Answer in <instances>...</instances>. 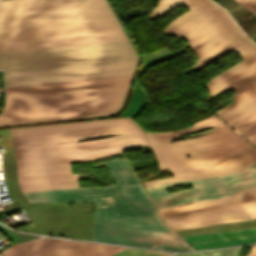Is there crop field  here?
I'll return each mask as SVG.
<instances>
[{
  "instance_id": "4177f3b9",
  "label": "crop field",
  "mask_w": 256,
  "mask_h": 256,
  "mask_svg": "<svg viewBox=\"0 0 256 256\" xmlns=\"http://www.w3.org/2000/svg\"><path fill=\"white\" fill-rule=\"evenodd\" d=\"M170 253L127 248L113 256H167Z\"/></svg>"
},
{
  "instance_id": "750c4746",
  "label": "crop field",
  "mask_w": 256,
  "mask_h": 256,
  "mask_svg": "<svg viewBox=\"0 0 256 256\" xmlns=\"http://www.w3.org/2000/svg\"><path fill=\"white\" fill-rule=\"evenodd\" d=\"M1 256V255H0Z\"/></svg>"
},
{
  "instance_id": "34b2d1b8",
  "label": "crop field",
  "mask_w": 256,
  "mask_h": 256,
  "mask_svg": "<svg viewBox=\"0 0 256 256\" xmlns=\"http://www.w3.org/2000/svg\"><path fill=\"white\" fill-rule=\"evenodd\" d=\"M219 125L222 129L197 138L167 143L174 137ZM228 127V126H227ZM215 115L193 126L171 132L146 133L160 171L212 164L253 148Z\"/></svg>"
},
{
  "instance_id": "cbeb9de0",
  "label": "crop field",
  "mask_w": 256,
  "mask_h": 256,
  "mask_svg": "<svg viewBox=\"0 0 256 256\" xmlns=\"http://www.w3.org/2000/svg\"><path fill=\"white\" fill-rule=\"evenodd\" d=\"M235 50H237L239 55L244 59L252 53L256 52V44L248 40L243 33L235 37L234 39L226 42L225 44L217 47L216 49L208 52L207 54L199 57L195 66L186 70V74L195 68L199 69L206 64L212 62L213 60Z\"/></svg>"
},
{
  "instance_id": "00972430",
  "label": "crop field",
  "mask_w": 256,
  "mask_h": 256,
  "mask_svg": "<svg viewBox=\"0 0 256 256\" xmlns=\"http://www.w3.org/2000/svg\"><path fill=\"white\" fill-rule=\"evenodd\" d=\"M242 246L240 247H236V248H230V249H222V250H213V251H205V252H195V253H183V254H176V255H172V256H224L227 253V256H230L232 251L233 255L232 256H238L240 249Z\"/></svg>"
},
{
  "instance_id": "8a807250",
  "label": "crop field",
  "mask_w": 256,
  "mask_h": 256,
  "mask_svg": "<svg viewBox=\"0 0 256 256\" xmlns=\"http://www.w3.org/2000/svg\"><path fill=\"white\" fill-rule=\"evenodd\" d=\"M22 192L78 187L70 162H86L149 144L130 119L13 129ZM119 136L85 141L90 138ZM118 184L23 193L28 202L96 201L93 240L171 251L191 248L158 216L126 159L104 163Z\"/></svg>"
},
{
  "instance_id": "ae1a2a85",
  "label": "crop field",
  "mask_w": 256,
  "mask_h": 256,
  "mask_svg": "<svg viewBox=\"0 0 256 256\" xmlns=\"http://www.w3.org/2000/svg\"><path fill=\"white\" fill-rule=\"evenodd\" d=\"M247 140L250 141L251 143L256 141V135L252 136L251 138H249Z\"/></svg>"
},
{
  "instance_id": "92a150f3",
  "label": "crop field",
  "mask_w": 256,
  "mask_h": 256,
  "mask_svg": "<svg viewBox=\"0 0 256 256\" xmlns=\"http://www.w3.org/2000/svg\"><path fill=\"white\" fill-rule=\"evenodd\" d=\"M132 64H137V61L114 63V64H104V65H94V66H85V67H75V68H66V69H56V70H47V71L27 72V73H18V74H8V75H4V78L27 76V75H37V74H46V73H56V72H65V71L84 70V69H94V68H103V67H113V66H122V65H132Z\"/></svg>"
},
{
  "instance_id": "dafd665d",
  "label": "crop field",
  "mask_w": 256,
  "mask_h": 256,
  "mask_svg": "<svg viewBox=\"0 0 256 256\" xmlns=\"http://www.w3.org/2000/svg\"><path fill=\"white\" fill-rule=\"evenodd\" d=\"M133 72L134 71L109 73V74H99V75H89V76H79V77H69V78H59V79H49V80H39V81H29V82H19V83H9V84H4V86L9 87V86H19V85H29V84H39V83H49V82H59V81H69V80H79V79L129 75V74H133Z\"/></svg>"
},
{
  "instance_id": "733c2abd",
  "label": "crop field",
  "mask_w": 256,
  "mask_h": 256,
  "mask_svg": "<svg viewBox=\"0 0 256 256\" xmlns=\"http://www.w3.org/2000/svg\"><path fill=\"white\" fill-rule=\"evenodd\" d=\"M116 109H106V110H96V111H86V112H76V113H66L57 115H47V116H37V117H27V118H17V119H7L0 120V126L7 125H18V124H29V123H39V122H49L58 121L66 119H75L83 117H92L98 115H108L117 111Z\"/></svg>"
},
{
  "instance_id": "4a817a6b",
  "label": "crop field",
  "mask_w": 256,
  "mask_h": 256,
  "mask_svg": "<svg viewBox=\"0 0 256 256\" xmlns=\"http://www.w3.org/2000/svg\"><path fill=\"white\" fill-rule=\"evenodd\" d=\"M135 66L136 65L94 69V70H84V71H75V72L56 73V74H46V75H37V76H27V77H18V78H8V79H4V83L39 80V79H49V78H59V77H69V76H79V75H89V74H99V73H109V72H119V71H129V70H134Z\"/></svg>"
},
{
  "instance_id": "eef30255",
  "label": "crop field",
  "mask_w": 256,
  "mask_h": 256,
  "mask_svg": "<svg viewBox=\"0 0 256 256\" xmlns=\"http://www.w3.org/2000/svg\"><path fill=\"white\" fill-rule=\"evenodd\" d=\"M247 256H256V246H252V249Z\"/></svg>"
},
{
  "instance_id": "ac0d7876",
  "label": "crop field",
  "mask_w": 256,
  "mask_h": 256,
  "mask_svg": "<svg viewBox=\"0 0 256 256\" xmlns=\"http://www.w3.org/2000/svg\"><path fill=\"white\" fill-rule=\"evenodd\" d=\"M132 75L9 87L0 119L120 107Z\"/></svg>"
},
{
  "instance_id": "d3111659",
  "label": "crop field",
  "mask_w": 256,
  "mask_h": 256,
  "mask_svg": "<svg viewBox=\"0 0 256 256\" xmlns=\"http://www.w3.org/2000/svg\"><path fill=\"white\" fill-rule=\"evenodd\" d=\"M254 146L256 145V142L252 143Z\"/></svg>"
},
{
  "instance_id": "dd49c442",
  "label": "crop field",
  "mask_w": 256,
  "mask_h": 256,
  "mask_svg": "<svg viewBox=\"0 0 256 256\" xmlns=\"http://www.w3.org/2000/svg\"><path fill=\"white\" fill-rule=\"evenodd\" d=\"M186 6L190 11L170 23L163 33L186 39L198 57L243 33L211 0H195Z\"/></svg>"
},
{
  "instance_id": "bd1437ed",
  "label": "crop field",
  "mask_w": 256,
  "mask_h": 256,
  "mask_svg": "<svg viewBox=\"0 0 256 256\" xmlns=\"http://www.w3.org/2000/svg\"><path fill=\"white\" fill-rule=\"evenodd\" d=\"M256 147V146H255Z\"/></svg>"
},
{
  "instance_id": "bc2a9ffb",
  "label": "crop field",
  "mask_w": 256,
  "mask_h": 256,
  "mask_svg": "<svg viewBox=\"0 0 256 256\" xmlns=\"http://www.w3.org/2000/svg\"><path fill=\"white\" fill-rule=\"evenodd\" d=\"M255 155H256V150H255V148H253L251 150H248L244 153H241L239 155H236L234 157H231L229 159H226V160H224L222 162H219L217 164H214V165H205V166L173 169V170H170V171L173 174V176L212 171V170H217V169L229 166L231 164L237 163L239 161L245 160V159L250 158V157L255 156Z\"/></svg>"
},
{
  "instance_id": "d9b57169",
  "label": "crop field",
  "mask_w": 256,
  "mask_h": 256,
  "mask_svg": "<svg viewBox=\"0 0 256 256\" xmlns=\"http://www.w3.org/2000/svg\"><path fill=\"white\" fill-rule=\"evenodd\" d=\"M241 207L162 218L170 226L244 216Z\"/></svg>"
},
{
  "instance_id": "28ad6ade",
  "label": "crop field",
  "mask_w": 256,
  "mask_h": 256,
  "mask_svg": "<svg viewBox=\"0 0 256 256\" xmlns=\"http://www.w3.org/2000/svg\"><path fill=\"white\" fill-rule=\"evenodd\" d=\"M242 206L246 211L250 219L256 217V189L246 192L244 194L238 195L236 197L192 203L188 205L179 206L176 208L160 211V216H171L179 215L193 212H201L222 208H230Z\"/></svg>"
},
{
  "instance_id": "412701ff",
  "label": "crop field",
  "mask_w": 256,
  "mask_h": 256,
  "mask_svg": "<svg viewBox=\"0 0 256 256\" xmlns=\"http://www.w3.org/2000/svg\"><path fill=\"white\" fill-rule=\"evenodd\" d=\"M113 20L106 0L0 1V32Z\"/></svg>"
},
{
  "instance_id": "e52e79f7",
  "label": "crop field",
  "mask_w": 256,
  "mask_h": 256,
  "mask_svg": "<svg viewBox=\"0 0 256 256\" xmlns=\"http://www.w3.org/2000/svg\"><path fill=\"white\" fill-rule=\"evenodd\" d=\"M185 184H192L194 189L170 194L164 191ZM254 188H256V163L224 176L146 187L159 211L180 204L236 196Z\"/></svg>"
},
{
  "instance_id": "d8731c3e",
  "label": "crop field",
  "mask_w": 256,
  "mask_h": 256,
  "mask_svg": "<svg viewBox=\"0 0 256 256\" xmlns=\"http://www.w3.org/2000/svg\"><path fill=\"white\" fill-rule=\"evenodd\" d=\"M124 247L39 238L15 245L2 252L4 256H111Z\"/></svg>"
},
{
  "instance_id": "5142ce71",
  "label": "crop field",
  "mask_w": 256,
  "mask_h": 256,
  "mask_svg": "<svg viewBox=\"0 0 256 256\" xmlns=\"http://www.w3.org/2000/svg\"><path fill=\"white\" fill-rule=\"evenodd\" d=\"M117 27H120L118 21H113V22H103V23H93V24L63 26V27L3 32V33H0V40L11 39V38H21V37L40 36V35L59 34V33L78 32V31L107 29V28H117Z\"/></svg>"
},
{
  "instance_id": "214f88e0",
  "label": "crop field",
  "mask_w": 256,
  "mask_h": 256,
  "mask_svg": "<svg viewBox=\"0 0 256 256\" xmlns=\"http://www.w3.org/2000/svg\"><path fill=\"white\" fill-rule=\"evenodd\" d=\"M254 162H256V156L253 157V158L247 159L245 161H242L240 163H237L235 165L224 168L222 170L208 172V173H201V174L171 177V178H165V179H160V180H155V181H149V182H144L143 185L148 186V185H155V184H162V183H169V182H176V181H183V180H191V179H198V178L224 175L226 173L237 170L239 168H242V167L247 166L249 164H252Z\"/></svg>"
},
{
  "instance_id": "5a996713",
  "label": "crop field",
  "mask_w": 256,
  "mask_h": 256,
  "mask_svg": "<svg viewBox=\"0 0 256 256\" xmlns=\"http://www.w3.org/2000/svg\"><path fill=\"white\" fill-rule=\"evenodd\" d=\"M122 28L0 41V53L124 41Z\"/></svg>"
},
{
  "instance_id": "22f410ed",
  "label": "crop field",
  "mask_w": 256,
  "mask_h": 256,
  "mask_svg": "<svg viewBox=\"0 0 256 256\" xmlns=\"http://www.w3.org/2000/svg\"><path fill=\"white\" fill-rule=\"evenodd\" d=\"M194 250L256 241V227L183 238Z\"/></svg>"
},
{
  "instance_id": "3316defc",
  "label": "crop field",
  "mask_w": 256,
  "mask_h": 256,
  "mask_svg": "<svg viewBox=\"0 0 256 256\" xmlns=\"http://www.w3.org/2000/svg\"><path fill=\"white\" fill-rule=\"evenodd\" d=\"M232 90L233 103L215 114L247 139L256 134V76Z\"/></svg>"
},
{
  "instance_id": "d1516ede",
  "label": "crop field",
  "mask_w": 256,
  "mask_h": 256,
  "mask_svg": "<svg viewBox=\"0 0 256 256\" xmlns=\"http://www.w3.org/2000/svg\"><path fill=\"white\" fill-rule=\"evenodd\" d=\"M255 75L256 53L209 80L205 88L210 91L211 98L225 90L236 87Z\"/></svg>"
},
{
  "instance_id": "730fd06b",
  "label": "crop field",
  "mask_w": 256,
  "mask_h": 256,
  "mask_svg": "<svg viewBox=\"0 0 256 256\" xmlns=\"http://www.w3.org/2000/svg\"><path fill=\"white\" fill-rule=\"evenodd\" d=\"M235 1H237L243 7H245L254 15H256V0H235Z\"/></svg>"
},
{
  "instance_id": "f4fd0767",
  "label": "crop field",
  "mask_w": 256,
  "mask_h": 256,
  "mask_svg": "<svg viewBox=\"0 0 256 256\" xmlns=\"http://www.w3.org/2000/svg\"><path fill=\"white\" fill-rule=\"evenodd\" d=\"M137 60L129 41L0 54L4 74Z\"/></svg>"
},
{
  "instance_id": "a9b5d70f",
  "label": "crop field",
  "mask_w": 256,
  "mask_h": 256,
  "mask_svg": "<svg viewBox=\"0 0 256 256\" xmlns=\"http://www.w3.org/2000/svg\"><path fill=\"white\" fill-rule=\"evenodd\" d=\"M246 220H249V219H248L247 216H244V217H237V218H230V219H223V220H216V221H209V222H202V223L174 226L172 228L174 230H178V229H186V228L201 227V226H208V225H216V224H223V223L246 221Z\"/></svg>"
}]
</instances>
